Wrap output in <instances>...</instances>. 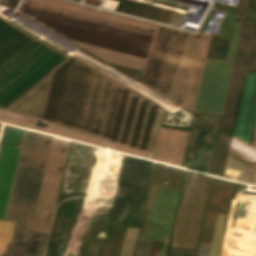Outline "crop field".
I'll use <instances>...</instances> for the list:
<instances>
[{"instance_id":"8a807250","label":"crop field","mask_w":256,"mask_h":256,"mask_svg":"<svg viewBox=\"0 0 256 256\" xmlns=\"http://www.w3.org/2000/svg\"><path fill=\"white\" fill-rule=\"evenodd\" d=\"M10 109L150 151L163 111L71 57Z\"/></svg>"},{"instance_id":"ac0d7876","label":"crop field","mask_w":256,"mask_h":256,"mask_svg":"<svg viewBox=\"0 0 256 256\" xmlns=\"http://www.w3.org/2000/svg\"><path fill=\"white\" fill-rule=\"evenodd\" d=\"M23 129L7 126L5 127L3 140L0 148V218L3 219L6 204L10 192L13 174L19 153V147H13L14 140L21 141ZM27 130L24 132L22 145L18 157L15 175L11 187L8 205L4 219L6 220L13 186L22 153ZM46 139L50 140L48 145H43ZM53 137L37 132H27L22 155L28 157L25 162H20L13 196L7 220L16 222L17 227L32 228L42 181L46 169ZM69 140L54 137L43 186L39 198L36 216L32 230L48 234L55 202L70 146ZM66 147L64 154L60 151ZM44 162L43 169H39L40 163ZM62 166V171H58ZM0 220V253L5 252L7 242H10L14 224L13 222Z\"/></svg>"},{"instance_id":"34b2d1b8","label":"crop field","mask_w":256,"mask_h":256,"mask_svg":"<svg viewBox=\"0 0 256 256\" xmlns=\"http://www.w3.org/2000/svg\"><path fill=\"white\" fill-rule=\"evenodd\" d=\"M18 13L104 61L142 70L158 27L57 0H24Z\"/></svg>"},{"instance_id":"412701ff","label":"crop field","mask_w":256,"mask_h":256,"mask_svg":"<svg viewBox=\"0 0 256 256\" xmlns=\"http://www.w3.org/2000/svg\"><path fill=\"white\" fill-rule=\"evenodd\" d=\"M210 36L160 26L142 83L193 110Z\"/></svg>"},{"instance_id":"f4fd0767","label":"crop field","mask_w":256,"mask_h":256,"mask_svg":"<svg viewBox=\"0 0 256 256\" xmlns=\"http://www.w3.org/2000/svg\"><path fill=\"white\" fill-rule=\"evenodd\" d=\"M65 57L0 18V106L21 95Z\"/></svg>"},{"instance_id":"dd49c442","label":"crop field","mask_w":256,"mask_h":256,"mask_svg":"<svg viewBox=\"0 0 256 256\" xmlns=\"http://www.w3.org/2000/svg\"><path fill=\"white\" fill-rule=\"evenodd\" d=\"M246 0L240 3L237 16L242 21ZM240 23H235L227 61L206 59L194 110L197 113L220 115L232 68Z\"/></svg>"},{"instance_id":"e52e79f7","label":"crop field","mask_w":256,"mask_h":256,"mask_svg":"<svg viewBox=\"0 0 256 256\" xmlns=\"http://www.w3.org/2000/svg\"><path fill=\"white\" fill-rule=\"evenodd\" d=\"M179 190L157 185L144 240H139L135 256H164Z\"/></svg>"},{"instance_id":"d8731c3e","label":"crop field","mask_w":256,"mask_h":256,"mask_svg":"<svg viewBox=\"0 0 256 256\" xmlns=\"http://www.w3.org/2000/svg\"><path fill=\"white\" fill-rule=\"evenodd\" d=\"M255 29V22L243 20L220 123H234Z\"/></svg>"},{"instance_id":"5a996713","label":"crop field","mask_w":256,"mask_h":256,"mask_svg":"<svg viewBox=\"0 0 256 256\" xmlns=\"http://www.w3.org/2000/svg\"><path fill=\"white\" fill-rule=\"evenodd\" d=\"M219 118L216 116L194 115L183 166L207 172Z\"/></svg>"},{"instance_id":"3316defc","label":"crop field","mask_w":256,"mask_h":256,"mask_svg":"<svg viewBox=\"0 0 256 256\" xmlns=\"http://www.w3.org/2000/svg\"><path fill=\"white\" fill-rule=\"evenodd\" d=\"M256 111V75L246 74L232 134L248 142Z\"/></svg>"},{"instance_id":"28ad6ade","label":"crop field","mask_w":256,"mask_h":256,"mask_svg":"<svg viewBox=\"0 0 256 256\" xmlns=\"http://www.w3.org/2000/svg\"><path fill=\"white\" fill-rule=\"evenodd\" d=\"M47 238V235L15 227L8 256H43Z\"/></svg>"},{"instance_id":"d1516ede","label":"crop field","mask_w":256,"mask_h":256,"mask_svg":"<svg viewBox=\"0 0 256 256\" xmlns=\"http://www.w3.org/2000/svg\"><path fill=\"white\" fill-rule=\"evenodd\" d=\"M226 216L227 215H222V214H218V216H217L215 229H214L208 256H219L221 244H222V240H223V236H224V234H222V232H223Z\"/></svg>"},{"instance_id":"22f410ed","label":"crop field","mask_w":256,"mask_h":256,"mask_svg":"<svg viewBox=\"0 0 256 256\" xmlns=\"http://www.w3.org/2000/svg\"><path fill=\"white\" fill-rule=\"evenodd\" d=\"M210 244L200 243L197 256H207Z\"/></svg>"},{"instance_id":"cbeb9de0","label":"crop field","mask_w":256,"mask_h":256,"mask_svg":"<svg viewBox=\"0 0 256 256\" xmlns=\"http://www.w3.org/2000/svg\"><path fill=\"white\" fill-rule=\"evenodd\" d=\"M249 144L256 147V115H255V120H254V124H253V128H252V133H251Z\"/></svg>"}]
</instances>
